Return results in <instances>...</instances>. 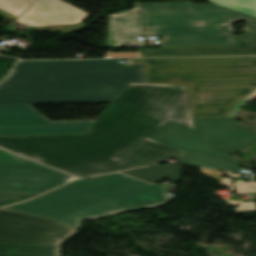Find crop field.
Wrapping results in <instances>:
<instances>
[{
    "mask_svg": "<svg viewBox=\"0 0 256 256\" xmlns=\"http://www.w3.org/2000/svg\"><path fill=\"white\" fill-rule=\"evenodd\" d=\"M131 82L187 85L193 118H233L256 97V57L18 62L0 104L113 102Z\"/></svg>",
    "mask_w": 256,
    "mask_h": 256,
    "instance_id": "obj_1",
    "label": "crop field"
},
{
    "mask_svg": "<svg viewBox=\"0 0 256 256\" xmlns=\"http://www.w3.org/2000/svg\"><path fill=\"white\" fill-rule=\"evenodd\" d=\"M170 122L194 129L187 86L132 83L83 135L0 137V148L86 177L180 159L146 138Z\"/></svg>",
    "mask_w": 256,
    "mask_h": 256,
    "instance_id": "obj_2",
    "label": "crop field"
},
{
    "mask_svg": "<svg viewBox=\"0 0 256 256\" xmlns=\"http://www.w3.org/2000/svg\"><path fill=\"white\" fill-rule=\"evenodd\" d=\"M237 21H247L245 33H256L255 17L216 4H135L109 19L107 45L137 43L139 36H160L161 47L234 43Z\"/></svg>",
    "mask_w": 256,
    "mask_h": 256,
    "instance_id": "obj_3",
    "label": "crop field"
},
{
    "mask_svg": "<svg viewBox=\"0 0 256 256\" xmlns=\"http://www.w3.org/2000/svg\"><path fill=\"white\" fill-rule=\"evenodd\" d=\"M167 188L146 184L119 173L84 179L39 198L6 208L53 219L79 228L81 220L157 207L172 198Z\"/></svg>",
    "mask_w": 256,
    "mask_h": 256,
    "instance_id": "obj_4",
    "label": "crop field"
},
{
    "mask_svg": "<svg viewBox=\"0 0 256 256\" xmlns=\"http://www.w3.org/2000/svg\"><path fill=\"white\" fill-rule=\"evenodd\" d=\"M193 121L194 130L170 123L148 138L186 152L179 163L238 172L241 162L228 153L256 145V137L234 119Z\"/></svg>",
    "mask_w": 256,
    "mask_h": 256,
    "instance_id": "obj_5",
    "label": "crop field"
},
{
    "mask_svg": "<svg viewBox=\"0 0 256 256\" xmlns=\"http://www.w3.org/2000/svg\"><path fill=\"white\" fill-rule=\"evenodd\" d=\"M77 228L0 209V256H60V244Z\"/></svg>",
    "mask_w": 256,
    "mask_h": 256,
    "instance_id": "obj_6",
    "label": "crop field"
},
{
    "mask_svg": "<svg viewBox=\"0 0 256 256\" xmlns=\"http://www.w3.org/2000/svg\"><path fill=\"white\" fill-rule=\"evenodd\" d=\"M70 176L0 150V190L43 193Z\"/></svg>",
    "mask_w": 256,
    "mask_h": 256,
    "instance_id": "obj_7",
    "label": "crop field"
},
{
    "mask_svg": "<svg viewBox=\"0 0 256 256\" xmlns=\"http://www.w3.org/2000/svg\"><path fill=\"white\" fill-rule=\"evenodd\" d=\"M92 122H49L30 105H0V136L82 134Z\"/></svg>",
    "mask_w": 256,
    "mask_h": 256,
    "instance_id": "obj_8",
    "label": "crop field"
},
{
    "mask_svg": "<svg viewBox=\"0 0 256 256\" xmlns=\"http://www.w3.org/2000/svg\"><path fill=\"white\" fill-rule=\"evenodd\" d=\"M33 5L15 22L31 27L79 23L89 14L61 0H29Z\"/></svg>",
    "mask_w": 256,
    "mask_h": 256,
    "instance_id": "obj_9",
    "label": "crop field"
},
{
    "mask_svg": "<svg viewBox=\"0 0 256 256\" xmlns=\"http://www.w3.org/2000/svg\"><path fill=\"white\" fill-rule=\"evenodd\" d=\"M144 57L167 56H214V55H256V34H243L235 36V44L140 49Z\"/></svg>",
    "mask_w": 256,
    "mask_h": 256,
    "instance_id": "obj_10",
    "label": "crop field"
},
{
    "mask_svg": "<svg viewBox=\"0 0 256 256\" xmlns=\"http://www.w3.org/2000/svg\"><path fill=\"white\" fill-rule=\"evenodd\" d=\"M182 166L163 164L159 166L124 172L149 183H158L161 178L169 177L172 182L179 181Z\"/></svg>",
    "mask_w": 256,
    "mask_h": 256,
    "instance_id": "obj_11",
    "label": "crop field"
},
{
    "mask_svg": "<svg viewBox=\"0 0 256 256\" xmlns=\"http://www.w3.org/2000/svg\"><path fill=\"white\" fill-rule=\"evenodd\" d=\"M30 5L26 0H0V15L13 21Z\"/></svg>",
    "mask_w": 256,
    "mask_h": 256,
    "instance_id": "obj_12",
    "label": "crop field"
},
{
    "mask_svg": "<svg viewBox=\"0 0 256 256\" xmlns=\"http://www.w3.org/2000/svg\"><path fill=\"white\" fill-rule=\"evenodd\" d=\"M256 17V0H204Z\"/></svg>",
    "mask_w": 256,
    "mask_h": 256,
    "instance_id": "obj_13",
    "label": "crop field"
},
{
    "mask_svg": "<svg viewBox=\"0 0 256 256\" xmlns=\"http://www.w3.org/2000/svg\"><path fill=\"white\" fill-rule=\"evenodd\" d=\"M38 194L0 191V207L24 201Z\"/></svg>",
    "mask_w": 256,
    "mask_h": 256,
    "instance_id": "obj_14",
    "label": "crop field"
},
{
    "mask_svg": "<svg viewBox=\"0 0 256 256\" xmlns=\"http://www.w3.org/2000/svg\"><path fill=\"white\" fill-rule=\"evenodd\" d=\"M88 25L79 23V24H71V25H59V26H48V27H38L34 28L38 32L43 31H60L62 35L72 33L74 31H77L79 29L85 28Z\"/></svg>",
    "mask_w": 256,
    "mask_h": 256,
    "instance_id": "obj_15",
    "label": "crop field"
},
{
    "mask_svg": "<svg viewBox=\"0 0 256 256\" xmlns=\"http://www.w3.org/2000/svg\"><path fill=\"white\" fill-rule=\"evenodd\" d=\"M143 57L141 52L110 53L107 58Z\"/></svg>",
    "mask_w": 256,
    "mask_h": 256,
    "instance_id": "obj_16",
    "label": "crop field"
},
{
    "mask_svg": "<svg viewBox=\"0 0 256 256\" xmlns=\"http://www.w3.org/2000/svg\"><path fill=\"white\" fill-rule=\"evenodd\" d=\"M247 185L245 181L234 180V187L237 194H246L247 193Z\"/></svg>",
    "mask_w": 256,
    "mask_h": 256,
    "instance_id": "obj_17",
    "label": "crop field"
},
{
    "mask_svg": "<svg viewBox=\"0 0 256 256\" xmlns=\"http://www.w3.org/2000/svg\"><path fill=\"white\" fill-rule=\"evenodd\" d=\"M203 175L213 179V180H216V181H219V179L224 175L218 171H211V170H206V169H202L200 168Z\"/></svg>",
    "mask_w": 256,
    "mask_h": 256,
    "instance_id": "obj_18",
    "label": "crop field"
},
{
    "mask_svg": "<svg viewBox=\"0 0 256 256\" xmlns=\"http://www.w3.org/2000/svg\"><path fill=\"white\" fill-rule=\"evenodd\" d=\"M240 209L241 212L256 211V205L255 203H243L240 201Z\"/></svg>",
    "mask_w": 256,
    "mask_h": 256,
    "instance_id": "obj_19",
    "label": "crop field"
},
{
    "mask_svg": "<svg viewBox=\"0 0 256 256\" xmlns=\"http://www.w3.org/2000/svg\"><path fill=\"white\" fill-rule=\"evenodd\" d=\"M231 181L232 179H228V178H221V180L218 182L217 185H221V186H227L230 188L231 192H234L231 186Z\"/></svg>",
    "mask_w": 256,
    "mask_h": 256,
    "instance_id": "obj_20",
    "label": "crop field"
},
{
    "mask_svg": "<svg viewBox=\"0 0 256 256\" xmlns=\"http://www.w3.org/2000/svg\"><path fill=\"white\" fill-rule=\"evenodd\" d=\"M224 200H225V202L228 203L227 206H236V205H238V202H237V201H233V200H230V199H224ZM236 211H237V212H240L239 207L236 208Z\"/></svg>",
    "mask_w": 256,
    "mask_h": 256,
    "instance_id": "obj_21",
    "label": "crop field"
},
{
    "mask_svg": "<svg viewBox=\"0 0 256 256\" xmlns=\"http://www.w3.org/2000/svg\"><path fill=\"white\" fill-rule=\"evenodd\" d=\"M249 194L250 195L256 194V182H253V181L251 182Z\"/></svg>",
    "mask_w": 256,
    "mask_h": 256,
    "instance_id": "obj_22",
    "label": "crop field"
}]
</instances>
